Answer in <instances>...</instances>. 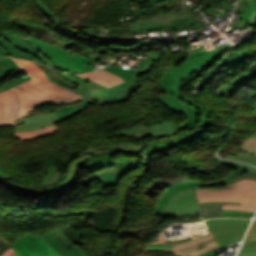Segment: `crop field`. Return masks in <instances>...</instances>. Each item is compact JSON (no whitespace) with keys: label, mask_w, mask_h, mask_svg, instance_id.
I'll list each match as a JSON object with an SVG mask.
<instances>
[{"label":"crop field","mask_w":256,"mask_h":256,"mask_svg":"<svg viewBox=\"0 0 256 256\" xmlns=\"http://www.w3.org/2000/svg\"><path fill=\"white\" fill-rule=\"evenodd\" d=\"M142 162H143L144 173H145L147 171L148 167H149V161H141V162H139L135 165H132V166L111 167V168H107L106 170L102 171L98 175V180L100 182L101 188H106V187L116 185L121 176L126 174L130 169L137 168L138 164H140ZM143 174L136 177L132 187L135 188L138 180L141 178V176Z\"/></svg>","instance_id":"obj_11"},{"label":"crop field","mask_w":256,"mask_h":256,"mask_svg":"<svg viewBox=\"0 0 256 256\" xmlns=\"http://www.w3.org/2000/svg\"><path fill=\"white\" fill-rule=\"evenodd\" d=\"M57 131H59V130L56 127V125H52V126L45 127V128L38 129V130H34V131H31V132H15V137L25 141V140H31V139H34V138L42 137L46 134L54 133V132H57Z\"/></svg>","instance_id":"obj_23"},{"label":"crop field","mask_w":256,"mask_h":256,"mask_svg":"<svg viewBox=\"0 0 256 256\" xmlns=\"http://www.w3.org/2000/svg\"><path fill=\"white\" fill-rule=\"evenodd\" d=\"M20 67L32 76V81L14 87L19 101L20 110L17 119L27 115L37 104L42 103H72L82 96L64 89L50 80L33 62L14 59Z\"/></svg>","instance_id":"obj_1"},{"label":"crop field","mask_w":256,"mask_h":256,"mask_svg":"<svg viewBox=\"0 0 256 256\" xmlns=\"http://www.w3.org/2000/svg\"><path fill=\"white\" fill-rule=\"evenodd\" d=\"M243 179H256V174H254V173H249V174L240 175V176L234 178L232 181H230V182L227 183L226 185L231 184V183H234V182H237V181H239V180H243Z\"/></svg>","instance_id":"obj_46"},{"label":"crop field","mask_w":256,"mask_h":256,"mask_svg":"<svg viewBox=\"0 0 256 256\" xmlns=\"http://www.w3.org/2000/svg\"><path fill=\"white\" fill-rule=\"evenodd\" d=\"M242 1L252 4L254 0H242Z\"/></svg>","instance_id":"obj_66"},{"label":"crop field","mask_w":256,"mask_h":256,"mask_svg":"<svg viewBox=\"0 0 256 256\" xmlns=\"http://www.w3.org/2000/svg\"><path fill=\"white\" fill-rule=\"evenodd\" d=\"M54 23L56 24V26H58V27H60V28H62V29H64V30H67V31H69V32L76 33V34L79 35V33H77V32L74 31V30L68 29V28H66V27H64V26L61 27V26L59 25V22H57V21H55Z\"/></svg>","instance_id":"obj_55"},{"label":"crop field","mask_w":256,"mask_h":256,"mask_svg":"<svg viewBox=\"0 0 256 256\" xmlns=\"http://www.w3.org/2000/svg\"><path fill=\"white\" fill-rule=\"evenodd\" d=\"M254 239H256V219H254L244 240H254Z\"/></svg>","instance_id":"obj_45"},{"label":"crop field","mask_w":256,"mask_h":256,"mask_svg":"<svg viewBox=\"0 0 256 256\" xmlns=\"http://www.w3.org/2000/svg\"><path fill=\"white\" fill-rule=\"evenodd\" d=\"M18 67L11 58L0 59V75Z\"/></svg>","instance_id":"obj_36"},{"label":"crop field","mask_w":256,"mask_h":256,"mask_svg":"<svg viewBox=\"0 0 256 256\" xmlns=\"http://www.w3.org/2000/svg\"><path fill=\"white\" fill-rule=\"evenodd\" d=\"M48 35H49V37L52 39V40H50V39H48L47 41L48 42H46V43H49V44H51V45H54V46H56V47H59V48H61V49H63V50H67L71 45H69V44H67V43H64V42H61V41H59V40H57V38H59L56 34H54L53 32H49V33H47ZM52 36H54V38L52 37ZM43 40V39H42ZM41 40V41H42Z\"/></svg>","instance_id":"obj_39"},{"label":"crop field","mask_w":256,"mask_h":256,"mask_svg":"<svg viewBox=\"0 0 256 256\" xmlns=\"http://www.w3.org/2000/svg\"><path fill=\"white\" fill-rule=\"evenodd\" d=\"M196 182L193 181H183L178 184H174L171 187H169L161 196L160 200L158 201L156 205L155 215L161 214V211L163 207L165 206L166 202L169 200V198L174 195L175 193L189 188H194L196 186Z\"/></svg>","instance_id":"obj_19"},{"label":"crop field","mask_w":256,"mask_h":256,"mask_svg":"<svg viewBox=\"0 0 256 256\" xmlns=\"http://www.w3.org/2000/svg\"><path fill=\"white\" fill-rule=\"evenodd\" d=\"M223 209L256 212V201L245 200L241 206L224 205Z\"/></svg>","instance_id":"obj_31"},{"label":"crop field","mask_w":256,"mask_h":256,"mask_svg":"<svg viewBox=\"0 0 256 256\" xmlns=\"http://www.w3.org/2000/svg\"><path fill=\"white\" fill-rule=\"evenodd\" d=\"M59 76L79 85L75 90L69 89L51 79L48 74L47 78L54 83L63 86L73 92H76L86 98H88L93 104L98 103L100 106L105 104H114L126 101L129 96L137 89L127 82L119 84L115 87L106 89L100 85H97L91 81L81 79L75 75H68L65 73H58Z\"/></svg>","instance_id":"obj_2"},{"label":"crop field","mask_w":256,"mask_h":256,"mask_svg":"<svg viewBox=\"0 0 256 256\" xmlns=\"http://www.w3.org/2000/svg\"><path fill=\"white\" fill-rule=\"evenodd\" d=\"M223 248H225V247L219 248V249H217V250H215V251H212V252H210V253H208V254H205V255H203V256H214L215 253L219 252V251L222 250Z\"/></svg>","instance_id":"obj_59"},{"label":"crop field","mask_w":256,"mask_h":256,"mask_svg":"<svg viewBox=\"0 0 256 256\" xmlns=\"http://www.w3.org/2000/svg\"><path fill=\"white\" fill-rule=\"evenodd\" d=\"M251 220V219H250ZM250 220H239V219H210L206 220L209 229L248 225Z\"/></svg>","instance_id":"obj_25"},{"label":"crop field","mask_w":256,"mask_h":256,"mask_svg":"<svg viewBox=\"0 0 256 256\" xmlns=\"http://www.w3.org/2000/svg\"><path fill=\"white\" fill-rule=\"evenodd\" d=\"M252 52L249 51L248 49H246L245 51H243L242 53L238 52H234V53H230L223 61L221 64V67L218 71V73L216 74L219 75L220 73L227 71L241 63H243L244 61H246L249 57H251Z\"/></svg>","instance_id":"obj_20"},{"label":"crop field","mask_w":256,"mask_h":256,"mask_svg":"<svg viewBox=\"0 0 256 256\" xmlns=\"http://www.w3.org/2000/svg\"><path fill=\"white\" fill-rule=\"evenodd\" d=\"M218 247L212 234L192 239L176 245H150L147 244L144 250L148 251H169L176 256H198L204 252ZM173 254V255H174Z\"/></svg>","instance_id":"obj_7"},{"label":"crop field","mask_w":256,"mask_h":256,"mask_svg":"<svg viewBox=\"0 0 256 256\" xmlns=\"http://www.w3.org/2000/svg\"><path fill=\"white\" fill-rule=\"evenodd\" d=\"M77 75L82 78L92 80L106 88H109V87H112L119 83L124 82V80L120 79L119 77H117L103 69H100V70H98L96 72H92V73L77 74Z\"/></svg>","instance_id":"obj_18"},{"label":"crop field","mask_w":256,"mask_h":256,"mask_svg":"<svg viewBox=\"0 0 256 256\" xmlns=\"http://www.w3.org/2000/svg\"><path fill=\"white\" fill-rule=\"evenodd\" d=\"M5 52L3 50L0 49V56H5Z\"/></svg>","instance_id":"obj_65"},{"label":"crop field","mask_w":256,"mask_h":256,"mask_svg":"<svg viewBox=\"0 0 256 256\" xmlns=\"http://www.w3.org/2000/svg\"><path fill=\"white\" fill-rule=\"evenodd\" d=\"M229 47L227 46H219L217 47L216 49H214L216 52H218L220 55L222 52H224L226 49H228ZM209 51H206V49H203V50H200V51H197L191 55L188 56V58H192V57H195V56H199V55H202V54H205Z\"/></svg>","instance_id":"obj_43"},{"label":"crop field","mask_w":256,"mask_h":256,"mask_svg":"<svg viewBox=\"0 0 256 256\" xmlns=\"http://www.w3.org/2000/svg\"><path fill=\"white\" fill-rule=\"evenodd\" d=\"M238 256H256V240L245 241Z\"/></svg>","instance_id":"obj_33"},{"label":"crop field","mask_w":256,"mask_h":256,"mask_svg":"<svg viewBox=\"0 0 256 256\" xmlns=\"http://www.w3.org/2000/svg\"><path fill=\"white\" fill-rule=\"evenodd\" d=\"M133 1H136V2H157V1H160V0H133Z\"/></svg>","instance_id":"obj_62"},{"label":"crop field","mask_w":256,"mask_h":256,"mask_svg":"<svg viewBox=\"0 0 256 256\" xmlns=\"http://www.w3.org/2000/svg\"><path fill=\"white\" fill-rule=\"evenodd\" d=\"M17 110L18 100L14 92L11 89L0 92V126L14 125Z\"/></svg>","instance_id":"obj_13"},{"label":"crop field","mask_w":256,"mask_h":256,"mask_svg":"<svg viewBox=\"0 0 256 256\" xmlns=\"http://www.w3.org/2000/svg\"><path fill=\"white\" fill-rule=\"evenodd\" d=\"M215 158V157H214ZM216 159V158H215ZM218 162L220 163H223V164H227V165H231V166H235V167H238V168H244V169H247L251 172H254L256 173V169L251 167V166H247V165H243V164H239V163H235V162H231V161H224V160H219L217 159Z\"/></svg>","instance_id":"obj_42"},{"label":"crop field","mask_w":256,"mask_h":256,"mask_svg":"<svg viewBox=\"0 0 256 256\" xmlns=\"http://www.w3.org/2000/svg\"><path fill=\"white\" fill-rule=\"evenodd\" d=\"M248 25L256 26V11L252 12Z\"/></svg>","instance_id":"obj_52"},{"label":"crop field","mask_w":256,"mask_h":256,"mask_svg":"<svg viewBox=\"0 0 256 256\" xmlns=\"http://www.w3.org/2000/svg\"><path fill=\"white\" fill-rule=\"evenodd\" d=\"M0 45L6 49L12 56L18 57V58H26V59H30V60H35L38 61L36 58L28 55V54H24L22 52H20L18 49H16L15 47H13L12 45H10L8 42H6L5 40H3L2 38H0Z\"/></svg>","instance_id":"obj_29"},{"label":"crop field","mask_w":256,"mask_h":256,"mask_svg":"<svg viewBox=\"0 0 256 256\" xmlns=\"http://www.w3.org/2000/svg\"><path fill=\"white\" fill-rule=\"evenodd\" d=\"M57 238L60 240L61 243L64 244V246L68 247L69 249H77L76 246H74L64 235L63 231L61 229H57L54 231Z\"/></svg>","instance_id":"obj_41"},{"label":"crop field","mask_w":256,"mask_h":256,"mask_svg":"<svg viewBox=\"0 0 256 256\" xmlns=\"http://www.w3.org/2000/svg\"><path fill=\"white\" fill-rule=\"evenodd\" d=\"M103 69H105V70H107L109 72H112V73L118 75L119 77H121L122 79H124L125 81H127L128 83H130V84H132V85H134L136 87H139L136 84H134L132 81H130L124 74H122L120 72H117V71H115V70H113L111 68H108V67H104Z\"/></svg>","instance_id":"obj_48"},{"label":"crop field","mask_w":256,"mask_h":256,"mask_svg":"<svg viewBox=\"0 0 256 256\" xmlns=\"http://www.w3.org/2000/svg\"><path fill=\"white\" fill-rule=\"evenodd\" d=\"M178 136V135H177ZM174 136V137H177ZM174 137L165 138L161 140H168ZM160 141V140H157ZM155 142V141H154ZM152 143V142H150ZM150 143H142V144H116V145H102V146H95L88 148L86 150H83L79 152L77 155H94V154H102V153H109V152H128V153H138L139 155H146L143 148L144 146L150 144Z\"/></svg>","instance_id":"obj_14"},{"label":"crop field","mask_w":256,"mask_h":256,"mask_svg":"<svg viewBox=\"0 0 256 256\" xmlns=\"http://www.w3.org/2000/svg\"><path fill=\"white\" fill-rule=\"evenodd\" d=\"M181 103L183 104V106L185 107V109L188 112V120L186 123L179 125L177 127H174L175 131H179L185 127L189 128L191 126H193L194 124H196V122L198 121L197 119V115L199 113V110L188 105L187 103L181 101Z\"/></svg>","instance_id":"obj_27"},{"label":"crop field","mask_w":256,"mask_h":256,"mask_svg":"<svg viewBox=\"0 0 256 256\" xmlns=\"http://www.w3.org/2000/svg\"><path fill=\"white\" fill-rule=\"evenodd\" d=\"M223 204L240 205L234 202H201L198 203L201 216L204 219L221 217V209Z\"/></svg>","instance_id":"obj_21"},{"label":"crop field","mask_w":256,"mask_h":256,"mask_svg":"<svg viewBox=\"0 0 256 256\" xmlns=\"http://www.w3.org/2000/svg\"><path fill=\"white\" fill-rule=\"evenodd\" d=\"M108 67H111V68H114V69H116V70H118V71H120V72H123L130 80H132L133 82H135L136 84H138V83L134 80V78L132 77V75H131L129 72H127V71H125V70H123V69H121V68L112 66V65H109ZM138 85H139V84H138ZM139 86H140V85H139Z\"/></svg>","instance_id":"obj_51"},{"label":"crop field","mask_w":256,"mask_h":256,"mask_svg":"<svg viewBox=\"0 0 256 256\" xmlns=\"http://www.w3.org/2000/svg\"><path fill=\"white\" fill-rule=\"evenodd\" d=\"M199 213L194 189L181 191L170 198L164 207L165 215H189Z\"/></svg>","instance_id":"obj_8"},{"label":"crop field","mask_w":256,"mask_h":256,"mask_svg":"<svg viewBox=\"0 0 256 256\" xmlns=\"http://www.w3.org/2000/svg\"><path fill=\"white\" fill-rule=\"evenodd\" d=\"M42 3H43V2H42ZM42 3H41L40 0H37V5L40 7V9H41L43 12L54 16L57 21H59L60 23H62V22H61L50 10H48Z\"/></svg>","instance_id":"obj_49"},{"label":"crop field","mask_w":256,"mask_h":256,"mask_svg":"<svg viewBox=\"0 0 256 256\" xmlns=\"http://www.w3.org/2000/svg\"><path fill=\"white\" fill-rule=\"evenodd\" d=\"M241 149L256 155V138L252 137L250 139H246L241 146Z\"/></svg>","instance_id":"obj_40"},{"label":"crop field","mask_w":256,"mask_h":256,"mask_svg":"<svg viewBox=\"0 0 256 256\" xmlns=\"http://www.w3.org/2000/svg\"><path fill=\"white\" fill-rule=\"evenodd\" d=\"M226 158L233 159V160H238V161H245L247 163L253 164V163H251V162H249L247 160L240 159L239 157L227 156ZM253 165H255V164H253Z\"/></svg>","instance_id":"obj_57"},{"label":"crop field","mask_w":256,"mask_h":256,"mask_svg":"<svg viewBox=\"0 0 256 256\" xmlns=\"http://www.w3.org/2000/svg\"><path fill=\"white\" fill-rule=\"evenodd\" d=\"M61 256H73V254L70 251L60 253Z\"/></svg>","instance_id":"obj_63"},{"label":"crop field","mask_w":256,"mask_h":256,"mask_svg":"<svg viewBox=\"0 0 256 256\" xmlns=\"http://www.w3.org/2000/svg\"><path fill=\"white\" fill-rule=\"evenodd\" d=\"M82 33L85 34V35L93 36L95 38L103 39V37H100V36H97V35H93V34H90V33L84 32V31H82Z\"/></svg>","instance_id":"obj_60"},{"label":"crop field","mask_w":256,"mask_h":256,"mask_svg":"<svg viewBox=\"0 0 256 256\" xmlns=\"http://www.w3.org/2000/svg\"><path fill=\"white\" fill-rule=\"evenodd\" d=\"M82 103L79 105H68L58 108L56 111L40 115V116H30L20 121H16L15 131H30L38 128H42L48 125L65 120L66 118L72 116L77 112H81L87 109L88 104H92L88 99L83 98L80 100Z\"/></svg>","instance_id":"obj_6"},{"label":"crop field","mask_w":256,"mask_h":256,"mask_svg":"<svg viewBox=\"0 0 256 256\" xmlns=\"http://www.w3.org/2000/svg\"><path fill=\"white\" fill-rule=\"evenodd\" d=\"M182 100L185 101V102H187V103H189L190 105H192V106L198 108L199 110H201V111H202V121H203V124H202V125L206 124L207 118H206L205 111H204L201 107H199L198 105L194 104L191 100H189L188 98H186V97H184V96L182 97Z\"/></svg>","instance_id":"obj_47"},{"label":"crop field","mask_w":256,"mask_h":256,"mask_svg":"<svg viewBox=\"0 0 256 256\" xmlns=\"http://www.w3.org/2000/svg\"><path fill=\"white\" fill-rule=\"evenodd\" d=\"M252 10H256V0L254 2L253 5H250V4H246L244 2H240L238 7H237V10L236 11H240L242 12V15L240 18H245V19H249V15L251 13Z\"/></svg>","instance_id":"obj_34"},{"label":"crop field","mask_w":256,"mask_h":256,"mask_svg":"<svg viewBox=\"0 0 256 256\" xmlns=\"http://www.w3.org/2000/svg\"><path fill=\"white\" fill-rule=\"evenodd\" d=\"M111 41H130V42H131V39H130V38H123V39H111Z\"/></svg>","instance_id":"obj_61"},{"label":"crop field","mask_w":256,"mask_h":256,"mask_svg":"<svg viewBox=\"0 0 256 256\" xmlns=\"http://www.w3.org/2000/svg\"><path fill=\"white\" fill-rule=\"evenodd\" d=\"M0 91H2V89L0 88Z\"/></svg>","instance_id":"obj_68"},{"label":"crop field","mask_w":256,"mask_h":256,"mask_svg":"<svg viewBox=\"0 0 256 256\" xmlns=\"http://www.w3.org/2000/svg\"><path fill=\"white\" fill-rule=\"evenodd\" d=\"M112 154H106V155H99V156H93V157H79L76 159V161L72 162L69 166L68 173L64 181L62 182V186L66 189H69V187L73 184L75 175L78 172V166H81L84 170L89 168L94 163L100 161V160H107L110 159Z\"/></svg>","instance_id":"obj_15"},{"label":"crop field","mask_w":256,"mask_h":256,"mask_svg":"<svg viewBox=\"0 0 256 256\" xmlns=\"http://www.w3.org/2000/svg\"><path fill=\"white\" fill-rule=\"evenodd\" d=\"M253 212H240V211H230L222 210V217H233V218H252Z\"/></svg>","instance_id":"obj_35"},{"label":"crop field","mask_w":256,"mask_h":256,"mask_svg":"<svg viewBox=\"0 0 256 256\" xmlns=\"http://www.w3.org/2000/svg\"><path fill=\"white\" fill-rule=\"evenodd\" d=\"M31 46L38 50L42 55L52 61L54 64L61 67L63 70L76 73V72H88L95 70L89 66L92 61L82 55H71L66 51H62L54 46L43 43L32 37L25 38Z\"/></svg>","instance_id":"obj_4"},{"label":"crop field","mask_w":256,"mask_h":256,"mask_svg":"<svg viewBox=\"0 0 256 256\" xmlns=\"http://www.w3.org/2000/svg\"><path fill=\"white\" fill-rule=\"evenodd\" d=\"M65 176H66V173H63V176H62V178H61V180L57 183V184H55V185H53V186H50V187H44V188H41V189H50V188H52V187H55V186H57L58 184H61V182H62V180L65 178Z\"/></svg>","instance_id":"obj_58"},{"label":"crop field","mask_w":256,"mask_h":256,"mask_svg":"<svg viewBox=\"0 0 256 256\" xmlns=\"http://www.w3.org/2000/svg\"><path fill=\"white\" fill-rule=\"evenodd\" d=\"M66 189L65 188H63L62 186H58V187H56V188H52L51 189V191H52V193H57V192H62V191H65Z\"/></svg>","instance_id":"obj_53"},{"label":"crop field","mask_w":256,"mask_h":256,"mask_svg":"<svg viewBox=\"0 0 256 256\" xmlns=\"http://www.w3.org/2000/svg\"><path fill=\"white\" fill-rule=\"evenodd\" d=\"M134 163H136V162L119 161V160H107V161H101V162H98V163L94 164L93 166H91L86 171L92 172L95 169H99V168H103V167H107V166H111V165H123V164H134Z\"/></svg>","instance_id":"obj_32"},{"label":"crop field","mask_w":256,"mask_h":256,"mask_svg":"<svg viewBox=\"0 0 256 256\" xmlns=\"http://www.w3.org/2000/svg\"><path fill=\"white\" fill-rule=\"evenodd\" d=\"M254 72H256V68H254V70H253L251 73H245V74H243V75H241V76H239V77H237V78H235V79H237V80L239 81V80H241V79H243V78L249 76L250 74H252V73H254Z\"/></svg>","instance_id":"obj_56"},{"label":"crop field","mask_w":256,"mask_h":256,"mask_svg":"<svg viewBox=\"0 0 256 256\" xmlns=\"http://www.w3.org/2000/svg\"><path fill=\"white\" fill-rule=\"evenodd\" d=\"M205 129L206 128L195 130V131H193L189 134H186V135H184V136H182L178 139H174L172 141H167V142H162V143H155V144L149 145V146L145 147L144 150L147 153V155L158 152V151H161L163 149H166V148L171 147L173 145H176L178 143L189 140V139L193 138L194 136L198 135L199 133H201Z\"/></svg>","instance_id":"obj_22"},{"label":"crop field","mask_w":256,"mask_h":256,"mask_svg":"<svg viewBox=\"0 0 256 256\" xmlns=\"http://www.w3.org/2000/svg\"><path fill=\"white\" fill-rule=\"evenodd\" d=\"M243 173H249L246 170L243 169H238V171L234 172L232 175H230L229 177L223 179L222 181H218V182H214V183H209V184H204V183H198L197 187H208V186H213V185H218V184H223L226 183L230 180H232L234 177L243 174Z\"/></svg>","instance_id":"obj_38"},{"label":"crop field","mask_w":256,"mask_h":256,"mask_svg":"<svg viewBox=\"0 0 256 256\" xmlns=\"http://www.w3.org/2000/svg\"><path fill=\"white\" fill-rule=\"evenodd\" d=\"M178 15H179V19H176V20H173V18L170 19V21L173 20L176 22V23H172V24L158 26L157 21H154V22L147 21L144 23L135 24L133 26H130L131 33L140 32V31H150V30H156V29H162V28H168V27H174V29L176 30L181 27L200 23L196 20V18L190 12H187V11L178 12ZM167 20H169V19H167Z\"/></svg>","instance_id":"obj_12"},{"label":"crop field","mask_w":256,"mask_h":256,"mask_svg":"<svg viewBox=\"0 0 256 256\" xmlns=\"http://www.w3.org/2000/svg\"><path fill=\"white\" fill-rule=\"evenodd\" d=\"M219 56L218 53L212 50L208 54L187 59L177 67L167 70L161 79V90L165 93H171L180 99L179 87L182 80L186 79V77L195 70L206 67Z\"/></svg>","instance_id":"obj_3"},{"label":"crop field","mask_w":256,"mask_h":256,"mask_svg":"<svg viewBox=\"0 0 256 256\" xmlns=\"http://www.w3.org/2000/svg\"><path fill=\"white\" fill-rule=\"evenodd\" d=\"M251 108H252L253 113H254V116H255V118H256V104H255L253 107H251Z\"/></svg>","instance_id":"obj_64"},{"label":"crop field","mask_w":256,"mask_h":256,"mask_svg":"<svg viewBox=\"0 0 256 256\" xmlns=\"http://www.w3.org/2000/svg\"><path fill=\"white\" fill-rule=\"evenodd\" d=\"M255 75H256V73L250 75L249 77H247L239 82L236 81L235 79H233L227 85H225L223 88L220 89L219 95H225L226 97L231 98L230 97L231 93H233L239 87H242L244 83H246L248 80H250Z\"/></svg>","instance_id":"obj_28"},{"label":"crop field","mask_w":256,"mask_h":256,"mask_svg":"<svg viewBox=\"0 0 256 256\" xmlns=\"http://www.w3.org/2000/svg\"><path fill=\"white\" fill-rule=\"evenodd\" d=\"M224 190L196 189L197 201L227 200L244 202L245 199L256 200V181L243 180L227 186ZM220 191V192H218Z\"/></svg>","instance_id":"obj_5"},{"label":"crop field","mask_w":256,"mask_h":256,"mask_svg":"<svg viewBox=\"0 0 256 256\" xmlns=\"http://www.w3.org/2000/svg\"><path fill=\"white\" fill-rule=\"evenodd\" d=\"M3 173H4V172L0 169V176H2Z\"/></svg>","instance_id":"obj_67"},{"label":"crop field","mask_w":256,"mask_h":256,"mask_svg":"<svg viewBox=\"0 0 256 256\" xmlns=\"http://www.w3.org/2000/svg\"><path fill=\"white\" fill-rule=\"evenodd\" d=\"M238 155L239 157L243 158V159H247L253 163L256 164V156H252V155H249V154H246V153H240V154H236Z\"/></svg>","instance_id":"obj_50"},{"label":"crop field","mask_w":256,"mask_h":256,"mask_svg":"<svg viewBox=\"0 0 256 256\" xmlns=\"http://www.w3.org/2000/svg\"><path fill=\"white\" fill-rule=\"evenodd\" d=\"M1 256H16V255L14 254V252L11 248V249L6 250Z\"/></svg>","instance_id":"obj_54"},{"label":"crop field","mask_w":256,"mask_h":256,"mask_svg":"<svg viewBox=\"0 0 256 256\" xmlns=\"http://www.w3.org/2000/svg\"><path fill=\"white\" fill-rule=\"evenodd\" d=\"M29 79H30V77L28 75H26V76H24L22 78H19V79L15 80V81H12V82H10L8 84H5V85L1 86V88L6 90V89L11 88L13 86H16L18 84H21V83H23V82H25V81H27Z\"/></svg>","instance_id":"obj_44"},{"label":"crop field","mask_w":256,"mask_h":256,"mask_svg":"<svg viewBox=\"0 0 256 256\" xmlns=\"http://www.w3.org/2000/svg\"><path fill=\"white\" fill-rule=\"evenodd\" d=\"M176 125L165 122L153 126L146 127L142 124L135 125L129 129L122 130L121 132L114 133L110 137L135 135V138L151 135L154 139L175 134L176 132L172 127Z\"/></svg>","instance_id":"obj_10"},{"label":"crop field","mask_w":256,"mask_h":256,"mask_svg":"<svg viewBox=\"0 0 256 256\" xmlns=\"http://www.w3.org/2000/svg\"><path fill=\"white\" fill-rule=\"evenodd\" d=\"M0 35L2 36L3 39H5L9 43H11L13 46L18 48L22 52L31 54V55L35 56L36 58H38L41 61V63L61 69V68L57 67L56 65H54L53 63H51L49 60H47L38 51H36L33 47H31L27 42L19 39L18 37H16L14 34L9 32L8 30L4 31V32H0Z\"/></svg>","instance_id":"obj_16"},{"label":"crop field","mask_w":256,"mask_h":256,"mask_svg":"<svg viewBox=\"0 0 256 256\" xmlns=\"http://www.w3.org/2000/svg\"><path fill=\"white\" fill-rule=\"evenodd\" d=\"M12 246L18 256H60L40 236L25 235Z\"/></svg>","instance_id":"obj_9"},{"label":"crop field","mask_w":256,"mask_h":256,"mask_svg":"<svg viewBox=\"0 0 256 256\" xmlns=\"http://www.w3.org/2000/svg\"><path fill=\"white\" fill-rule=\"evenodd\" d=\"M161 54L162 53L148 54L151 57V59L146 60L145 62H139L137 70H133L131 68L124 69L128 70L133 75L135 80L138 81L137 76L141 75V73H145L148 70H150L154 63L159 60Z\"/></svg>","instance_id":"obj_24"},{"label":"crop field","mask_w":256,"mask_h":256,"mask_svg":"<svg viewBox=\"0 0 256 256\" xmlns=\"http://www.w3.org/2000/svg\"><path fill=\"white\" fill-rule=\"evenodd\" d=\"M3 184H5L6 186L10 187L11 189H13L14 191L16 192H19V193H22V194H26V195H34V196H37V197H41L45 194H51L50 190H33V189H30V188H22V189H18L14 186H12L10 183L8 182H4V181H1Z\"/></svg>","instance_id":"obj_30"},{"label":"crop field","mask_w":256,"mask_h":256,"mask_svg":"<svg viewBox=\"0 0 256 256\" xmlns=\"http://www.w3.org/2000/svg\"><path fill=\"white\" fill-rule=\"evenodd\" d=\"M157 98L166 108H168L172 112H177L186 115V112L182 105L180 104L179 100L176 99L174 96L170 94H165L164 96Z\"/></svg>","instance_id":"obj_26"},{"label":"crop field","mask_w":256,"mask_h":256,"mask_svg":"<svg viewBox=\"0 0 256 256\" xmlns=\"http://www.w3.org/2000/svg\"><path fill=\"white\" fill-rule=\"evenodd\" d=\"M60 174H61V172H58L57 168L54 167L53 169H51L49 171V173L44 178L41 185H49V184L55 183L58 180V178L60 177Z\"/></svg>","instance_id":"obj_37"},{"label":"crop field","mask_w":256,"mask_h":256,"mask_svg":"<svg viewBox=\"0 0 256 256\" xmlns=\"http://www.w3.org/2000/svg\"><path fill=\"white\" fill-rule=\"evenodd\" d=\"M248 226L230 227L211 230L216 240L222 245L240 241Z\"/></svg>","instance_id":"obj_17"}]
</instances>
